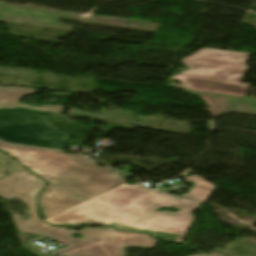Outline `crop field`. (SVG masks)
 <instances>
[{
	"instance_id": "crop-field-1",
	"label": "crop field",
	"mask_w": 256,
	"mask_h": 256,
	"mask_svg": "<svg viewBox=\"0 0 256 256\" xmlns=\"http://www.w3.org/2000/svg\"><path fill=\"white\" fill-rule=\"evenodd\" d=\"M198 205V202H182L181 199L138 185L123 184L46 221L51 225L94 223L107 225L116 222L136 229L179 234L176 243L180 244L193 221L191 212L199 208ZM158 207H174L182 211L177 213L155 211L154 209Z\"/></svg>"
},
{
	"instance_id": "crop-field-2",
	"label": "crop field",
	"mask_w": 256,
	"mask_h": 256,
	"mask_svg": "<svg viewBox=\"0 0 256 256\" xmlns=\"http://www.w3.org/2000/svg\"><path fill=\"white\" fill-rule=\"evenodd\" d=\"M46 185L39 177L28 170H22L8 178L0 180V196L5 199L17 197L29 205L31 218L22 220L13 214L20 232L48 236L70 246L55 251L65 256H124L126 246L152 248L156 239L147 234L128 233L112 228H87L79 232L54 228L38 218L36 195ZM79 233L84 239L70 237Z\"/></svg>"
},
{
	"instance_id": "crop-field-3",
	"label": "crop field",
	"mask_w": 256,
	"mask_h": 256,
	"mask_svg": "<svg viewBox=\"0 0 256 256\" xmlns=\"http://www.w3.org/2000/svg\"><path fill=\"white\" fill-rule=\"evenodd\" d=\"M248 57L249 53L204 48L184 58L182 62L190 68L171 79L181 80L189 89L244 97L250 85L240 82Z\"/></svg>"
},
{
	"instance_id": "crop-field-4",
	"label": "crop field",
	"mask_w": 256,
	"mask_h": 256,
	"mask_svg": "<svg viewBox=\"0 0 256 256\" xmlns=\"http://www.w3.org/2000/svg\"><path fill=\"white\" fill-rule=\"evenodd\" d=\"M125 176L92 162L50 182L39 195L40 209L49 218L125 183Z\"/></svg>"
},
{
	"instance_id": "crop-field-5",
	"label": "crop field",
	"mask_w": 256,
	"mask_h": 256,
	"mask_svg": "<svg viewBox=\"0 0 256 256\" xmlns=\"http://www.w3.org/2000/svg\"><path fill=\"white\" fill-rule=\"evenodd\" d=\"M64 115L23 109L0 110V140L6 143L63 150L69 137L44 125V121Z\"/></svg>"
},
{
	"instance_id": "crop-field-6",
	"label": "crop field",
	"mask_w": 256,
	"mask_h": 256,
	"mask_svg": "<svg viewBox=\"0 0 256 256\" xmlns=\"http://www.w3.org/2000/svg\"><path fill=\"white\" fill-rule=\"evenodd\" d=\"M0 149L9 153L47 182L92 162L79 154H64L62 152L23 148L2 143H0Z\"/></svg>"
},
{
	"instance_id": "crop-field-7",
	"label": "crop field",
	"mask_w": 256,
	"mask_h": 256,
	"mask_svg": "<svg viewBox=\"0 0 256 256\" xmlns=\"http://www.w3.org/2000/svg\"><path fill=\"white\" fill-rule=\"evenodd\" d=\"M33 92H35V90L29 89V88L19 89L15 87H6V88L0 87V104L61 114L63 110V107L61 106L32 107V106L24 105L18 102L21 97L25 95H30Z\"/></svg>"
},
{
	"instance_id": "crop-field-8",
	"label": "crop field",
	"mask_w": 256,
	"mask_h": 256,
	"mask_svg": "<svg viewBox=\"0 0 256 256\" xmlns=\"http://www.w3.org/2000/svg\"><path fill=\"white\" fill-rule=\"evenodd\" d=\"M187 180L196 183L188 194L183 195V198L205 201L210 194L215 190L214 184L205 181V178L200 176H191Z\"/></svg>"
},
{
	"instance_id": "crop-field-9",
	"label": "crop field",
	"mask_w": 256,
	"mask_h": 256,
	"mask_svg": "<svg viewBox=\"0 0 256 256\" xmlns=\"http://www.w3.org/2000/svg\"><path fill=\"white\" fill-rule=\"evenodd\" d=\"M229 256H256V247L247 239H240L224 250Z\"/></svg>"
},
{
	"instance_id": "crop-field-10",
	"label": "crop field",
	"mask_w": 256,
	"mask_h": 256,
	"mask_svg": "<svg viewBox=\"0 0 256 256\" xmlns=\"http://www.w3.org/2000/svg\"><path fill=\"white\" fill-rule=\"evenodd\" d=\"M109 226L117 227V228L128 230V231L148 232L152 236L158 237V238H160L161 240H163L165 242H172V243H174L176 238H177V236H178V235L169 234V233L136 230V229H133L131 227L120 225V224H116V223H112Z\"/></svg>"
},
{
	"instance_id": "crop-field-11",
	"label": "crop field",
	"mask_w": 256,
	"mask_h": 256,
	"mask_svg": "<svg viewBox=\"0 0 256 256\" xmlns=\"http://www.w3.org/2000/svg\"><path fill=\"white\" fill-rule=\"evenodd\" d=\"M50 95H56V96H70L71 94L63 93V94H57V93H48Z\"/></svg>"
},
{
	"instance_id": "crop-field-12",
	"label": "crop field",
	"mask_w": 256,
	"mask_h": 256,
	"mask_svg": "<svg viewBox=\"0 0 256 256\" xmlns=\"http://www.w3.org/2000/svg\"><path fill=\"white\" fill-rule=\"evenodd\" d=\"M193 256H212L210 254H203V255H193Z\"/></svg>"
},
{
	"instance_id": "crop-field-13",
	"label": "crop field",
	"mask_w": 256,
	"mask_h": 256,
	"mask_svg": "<svg viewBox=\"0 0 256 256\" xmlns=\"http://www.w3.org/2000/svg\"><path fill=\"white\" fill-rule=\"evenodd\" d=\"M0 107H9V108H15V107H10V106H3V105H0Z\"/></svg>"
},
{
	"instance_id": "crop-field-14",
	"label": "crop field",
	"mask_w": 256,
	"mask_h": 256,
	"mask_svg": "<svg viewBox=\"0 0 256 256\" xmlns=\"http://www.w3.org/2000/svg\"><path fill=\"white\" fill-rule=\"evenodd\" d=\"M50 103H54V102H50Z\"/></svg>"
}]
</instances>
